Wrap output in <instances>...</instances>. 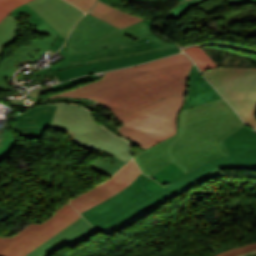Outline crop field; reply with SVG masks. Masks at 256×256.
Here are the masks:
<instances>
[{
  "mask_svg": "<svg viewBox=\"0 0 256 256\" xmlns=\"http://www.w3.org/2000/svg\"><path fill=\"white\" fill-rule=\"evenodd\" d=\"M178 134L134 156L138 166L153 176L172 162L189 172L228 155L222 138L245 125L222 98L181 111Z\"/></svg>",
  "mask_w": 256,
  "mask_h": 256,
  "instance_id": "obj_1",
  "label": "crop field"
},
{
  "mask_svg": "<svg viewBox=\"0 0 256 256\" xmlns=\"http://www.w3.org/2000/svg\"><path fill=\"white\" fill-rule=\"evenodd\" d=\"M192 63L190 58L180 53L138 66L106 72V76L100 81L48 98H91L102 103L118 118L187 88V75Z\"/></svg>",
  "mask_w": 256,
  "mask_h": 256,
  "instance_id": "obj_2",
  "label": "crop field"
},
{
  "mask_svg": "<svg viewBox=\"0 0 256 256\" xmlns=\"http://www.w3.org/2000/svg\"><path fill=\"white\" fill-rule=\"evenodd\" d=\"M149 179L141 173L123 191L81 214L108 236L175 198L164 189L151 195L141 186Z\"/></svg>",
  "mask_w": 256,
  "mask_h": 256,
  "instance_id": "obj_3",
  "label": "crop field"
},
{
  "mask_svg": "<svg viewBox=\"0 0 256 256\" xmlns=\"http://www.w3.org/2000/svg\"><path fill=\"white\" fill-rule=\"evenodd\" d=\"M186 92L187 89L118 118L124 124L118 130L145 148L176 134L178 114Z\"/></svg>",
  "mask_w": 256,
  "mask_h": 256,
  "instance_id": "obj_4",
  "label": "crop field"
},
{
  "mask_svg": "<svg viewBox=\"0 0 256 256\" xmlns=\"http://www.w3.org/2000/svg\"><path fill=\"white\" fill-rule=\"evenodd\" d=\"M51 127L66 132L82 148L102 151L127 162L132 157L127 141L103 129L83 107L58 104Z\"/></svg>",
  "mask_w": 256,
  "mask_h": 256,
  "instance_id": "obj_5",
  "label": "crop field"
},
{
  "mask_svg": "<svg viewBox=\"0 0 256 256\" xmlns=\"http://www.w3.org/2000/svg\"><path fill=\"white\" fill-rule=\"evenodd\" d=\"M222 141L229 156L187 173L164 189L177 197L208 179L220 176L219 169H256V132L245 125Z\"/></svg>",
  "mask_w": 256,
  "mask_h": 256,
  "instance_id": "obj_6",
  "label": "crop field"
},
{
  "mask_svg": "<svg viewBox=\"0 0 256 256\" xmlns=\"http://www.w3.org/2000/svg\"><path fill=\"white\" fill-rule=\"evenodd\" d=\"M203 75L245 122L256 129V69L216 68Z\"/></svg>",
  "mask_w": 256,
  "mask_h": 256,
  "instance_id": "obj_7",
  "label": "crop field"
},
{
  "mask_svg": "<svg viewBox=\"0 0 256 256\" xmlns=\"http://www.w3.org/2000/svg\"><path fill=\"white\" fill-rule=\"evenodd\" d=\"M80 217L66 203L41 225L32 222L12 237H0V256H24Z\"/></svg>",
  "mask_w": 256,
  "mask_h": 256,
  "instance_id": "obj_8",
  "label": "crop field"
},
{
  "mask_svg": "<svg viewBox=\"0 0 256 256\" xmlns=\"http://www.w3.org/2000/svg\"><path fill=\"white\" fill-rule=\"evenodd\" d=\"M16 29L17 19L11 15L0 23V55H3L4 47L13 43L17 36L15 34ZM32 30L36 34L50 35V37L47 40L32 41L28 43V46L17 49L6 60H1L0 74L13 78V73L18 70L17 64L27 59L35 62L47 51L57 36L45 23L34 27Z\"/></svg>",
  "mask_w": 256,
  "mask_h": 256,
  "instance_id": "obj_9",
  "label": "crop field"
},
{
  "mask_svg": "<svg viewBox=\"0 0 256 256\" xmlns=\"http://www.w3.org/2000/svg\"><path fill=\"white\" fill-rule=\"evenodd\" d=\"M140 173L134 161L131 160L108 182L70 200V203L81 213L123 190Z\"/></svg>",
  "mask_w": 256,
  "mask_h": 256,
  "instance_id": "obj_10",
  "label": "crop field"
},
{
  "mask_svg": "<svg viewBox=\"0 0 256 256\" xmlns=\"http://www.w3.org/2000/svg\"><path fill=\"white\" fill-rule=\"evenodd\" d=\"M179 52H181L179 47L164 49V50L144 53L140 55H134V56L123 57V58H118L113 60L96 62L92 64L81 65L74 68H67V69L56 71L55 74L59 79V81L62 82L69 78L122 68V67L134 65L137 63L153 60L156 58L168 56V55L179 53Z\"/></svg>",
  "mask_w": 256,
  "mask_h": 256,
  "instance_id": "obj_11",
  "label": "crop field"
},
{
  "mask_svg": "<svg viewBox=\"0 0 256 256\" xmlns=\"http://www.w3.org/2000/svg\"><path fill=\"white\" fill-rule=\"evenodd\" d=\"M27 4L65 38L83 15L81 10L63 0H33Z\"/></svg>",
  "mask_w": 256,
  "mask_h": 256,
  "instance_id": "obj_12",
  "label": "crop field"
},
{
  "mask_svg": "<svg viewBox=\"0 0 256 256\" xmlns=\"http://www.w3.org/2000/svg\"><path fill=\"white\" fill-rule=\"evenodd\" d=\"M57 104L36 106L30 111L12 114L17 136L42 138L49 128Z\"/></svg>",
  "mask_w": 256,
  "mask_h": 256,
  "instance_id": "obj_13",
  "label": "crop field"
},
{
  "mask_svg": "<svg viewBox=\"0 0 256 256\" xmlns=\"http://www.w3.org/2000/svg\"><path fill=\"white\" fill-rule=\"evenodd\" d=\"M97 232L99 231L95 230L83 218H80L75 223L61 231L44 244L42 243L43 245H39L40 247L25 256H50L63 246L67 245L71 248Z\"/></svg>",
  "mask_w": 256,
  "mask_h": 256,
  "instance_id": "obj_14",
  "label": "crop field"
},
{
  "mask_svg": "<svg viewBox=\"0 0 256 256\" xmlns=\"http://www.w3.org/2000/svg\"><path fill=\"white\" fill-rule=\"evenodd\" d=\"M152 33V20H143L137 24L124 28L94 44L86 46L78 51H76L71 46L66 47L64 46L58 54L62 55L63 57L73 56L77 54H82L98 49H102L105 47L113 46L116 44L135 41L138 40L148 34Z\"/></svg>",
  "mask_w": 256,
  "mask_h": 256,
  "instance_id": "obj_15",
  "label": "crop field"
},
{
  "mask_svg": "<svg viewBox=\"0 0 256 256\" xmlns=\"http://www.w3.org/2000/svg\"><path fill=\"white\" fill-rule=\"evenodd\" d=\"M119 29L91 16L85 15L73 30L68 44L76 50L91 44Z\"/></svg>",
  "mask_w": 256,
  "mask_h": 256,
  "instance_id": "obj_16",
  "label": "crop field"
},
{
  "mask_svg": "<svg viewBox=\"0 0 256 256\" xmlns=\"http://www.w3.org/2000/svg\"><path fill=\"white\" fill-rule=\"evenodd\" d=\"M222 98L218 92L203 78L194 65L188 83V92L181 110Z\"/></svg>",
  "mask_w": 256,
  "mask_h": 256,
  "instance_id": "obj_17",
  "label": "crop field"
},
{
  "mask_svg": "<svg viewBox=\"0 0 256 256\" xmlns=\"http://www.w3.org/2000/svg\"><path fill=\"white\" fill-rule=\"evenodd\" d=\"M146 40L153 41V42H155V43H157V44H159V45H161L165 48L177 46L176 44L167 41L165 39L164 35H158V34H153L152 33L151 35H149V36H147V37H145V38H143L139 41L124 43V44L116 45V46L109 47V48H106V49H103V50H99V51H95V52H91V53H87V54H82V55H77V56L65 58L63 62L55 64L51 68L41 70V71H39L38 73H35V74L37 75V74H41V73L52 72V71H55V70L66 68V67H73V66L81 65V64H84L83 57L108 52V51H111V50H114V49L129 46V45L144 43V42H146Z\"/></svg>",
  "mask_w": 256,
  "mask_h": 256,
  "instance_id": "obj_18",
  "label": "crop field"
},
{
  "mask_svg": "<svg viewBox=\"0 0 256 256\" xmlns=\"http://www.w3.org/2000/svg\"><path fill=\"white\" fill-rule=\"evenodd\" d=\"M88 13L122 29L134 23H137L142 18L133 16L131 14L119 11L111 6H108L100 1L97 2L95 7Z\"/></svg>",
  "mask_w": 256,
  "mask_h": 256,
  "instance_id": "obj_19",
  "label": "crop field"
},
{
  "mask_svg": "<svg viewBox=\"0 0 256 256\" xmlns=\"http://www.w3.org/2000/svg\"><path fill=\"white\" fill-rule=\"evenodd\" d=\"M159 49H164V48L153 43V42H149V43H144V44L121 48V49L114 50V51L100 54V55L86 57V58H84V61L86 64V63H92V62H96V61H102V60H107V59H112V58H118V57L133 55V54H139V53L159 50Z\"/></svg>",
  "mask_w": 256,
  "mask_h": 256,
  "instance_id": "obj_20",
  "label": "crop field"
},
{
  "mask_svg": "<svg viewBox=\"0 0 256 256\" xmlns=\"http://www.w3.org/2000/svg\"><path fill=\"white\" fill-rule=\"evenodd\" d=\"M22 11H27L30 13V21L32 24H34L35 26L45 22L58 36L55 39V41L52 43V45L50 46L49 49L53 50V51H57L65 42V38L63 36H61L55 29H53L46 21H44L35 11H33L27 4L15 9L11 15H13L14 17H16L17 19L21 16V12Z\"/></svg>",
  "mask_w": 256,
  "mask_h": 256,
  "instance_id": "obj_21",
  "label": "crop field"
},
{
  "mask_svg": "<svg viewBox=\"0 0 256 256\" xmlns=\"http://www.w3.org/2000/svg\"><path fill=\"white\" fill-rule=\"evenodd\" d=\"M183 51L194 60L200 71L218 67L200 47H189Z\"/></svg>",
  "mask_w": 256,
  "mask_h": 256,
  "instance_id": "obj_22",
  "label": "crop field"
},
{
  "mask_svg": "<svg viewBox=\"0 0 256 256\" xmlns=\"http://www.w3.org/2000/svg\"><path fill=\"white\" fill-rule=\"evenodd\" d=\"M184 173L181 171L179 168H177L175 165L172 163L165 166L162 170H160L156 175H154L152 178L156 179L158 182L161 184L167 183V182H174L181 176H183ZM155 180V181H156Z\"/></svg>",
  "mask_w": 256,
  "mask_h": 256,
  "instance_id": "obj_23",
  "label": "crop field"
},
{
  "mask_svg": "<svg viewBox=\"0 0 256 256\" xmlns=\"http://www.w3.org/2000/svg\"><path fill=\"white\" fill-rule=\"evenodd\" d=\"M204 1L206 0H190L188 2L184 0L176 8H174L172 11L169 12L167 18L178 20L190 7ZM226 1L229 2L230 4H234V3L246 2L249 0H226Z\"/></svg>",
  "mask_w": 256,
  "mask_h": 256,
  "instance_id": "obj_24",
  "label": "crop field"
},
{
  "mask_svg": "<svg viewBox=\"0 0 256 256\" xmlns=\"http://www.w3.org/2000/svg\"><path fill=\"white\" fill-rule=\"evenodd\" d=\"M125 164H126V162H124L120 159L118 160V162L115 165H112L108 162L97 159L96 161H94L92 163L91 167L94 168L98 172H102L104 174L112 176L115 172H117Z\"/></svg>",
  "mask_w": 256,
  "mask_h": 256,
  "instance_id": "obj_25",
  "label": "crop field"
},
{
  "mask_svg": "<svg viewBox=\"0 0 256 256\" xmlns=\"http://www.w3.org/2000/svg\"><path fill=\"white\" fill-rule=\"evenodd\" d=\"M14 132L7 131L3 140L0 142V160H2L9 151L16 145Z\"/></svg>",
  "mask_w": 256,
  "mask_h": 256,
  "instance_id": "obj_26",
  "label": "crop field"
},
{
  "mask_svg": "<svg viewBox=\"0 0 256 256\" xmlns=\"http://www.w3.org/2000/svg\"><path fill=\"white\" fill-rule=\"evenodd\" d=\"M256 253V242L251 244L242 245L232 250L217 254L215 256H244L246 254Z\"/></svg>",
  "mask_w": 256,
  "mask_h": 256,
  "instance_id": "obj_27",
  "label": "crop field"
},
{
  "mask_svg": "<svg viewBox=\"0 0 256 256\" xmlns=\"http://www.w3.org/2000/svg\"><path fill=\"white\" fill-rule=\"evenodd\" d=\"M69 3L79 7L83 11L87 12L96 0H66Z\"/></svg>",
  "mask_w": 256,
  "mask_h": 256,
  "instance_id": "obj_28",
  "label": "crop field"
},
{
  "mask_svg": "<svg viewBox=\"0 0 256 256\" xmlns=\"http://www.w3.org/2000/svg\"><path fill=\"white\" fill-rule=\"evenodd\" d=\"M95 77H99V76L91 75V76L81 77V78L73 79V80H70V81H66L64 83H60V84L54 85L53 87H54L55 90H57V89L66 87L68 85H71V84H74V83H77V82H80V81H83V80L95 78Z\"/></svg>",
  "mask_w": 256,
  "mask_h": 256,
  "instance_id": "obj_29",
  "label": "crop field"
},
{
  "mask_svg": "<svg viewBox=\"0 0 256 256\" xmlns=\"http://www.w3.org/2000/svg\"><path fill=\"white\" fill-rule=\"evenodd\" d=\"M28 1L30 0H0V3L12 10Z\"/></svg>",
  "mask_w": 256,
  "mask_h": 256,
  "instance_id": "obj_30",
  "label": "crop field"
},
{
  "mask_svg": "<svg viewBox=\"0 0 256 256\" xmlns=\"http://www.w3.org/2000/svg\"><path fill=\"white\" fill-rule=\"evenodd\" d=\"M145 189H147L151 194L156 192L157 190L163 188L158 183L154 182L153 180L147 181L145 184L142 185Z\"/></svg>",
  "mask_w": 256,
  "mask_h": 256,
  "instance_id": "obj_31",
  "label": "crop field"
},
{
  "mask_svg": "<svg viewBox=\"0 0 256 256\" xmlns=\"http://www.w3.org/2000/svg\"><path fill=\"white\" fill-rule=\"evenodd\" d=\"M232 248H234V247H233L231 244H227V245H224V246H221V247H218V248H215V247L212 246V245L209 246V249L214 252L211 256H214V255L217 254V253H220V252H223V251L232 249Z\"/></svg>",
  "mask_w": 256,
  "mask_h": 256,
  "instance_id": "obj_32",
  "label": "crop field"
},
{
  "mask_svg": "<svg viewBox=\"0 0 256 256\" xmlns=\"http://www.w3.org/2000/svg\"><path fill=\"white\" fill-rule=\"evenodd\" d=\"M5 78H6L5 76L0 75V90L16 92L9 85L5 83Z\"/></svg>",
  "mask_w": 256,
  "mask_h": 256,
  "instance_id": "obj_33",
  "label": "crop field"
},
{
  "mask_svg": "<svg viewBox=\"0 0 256 256\" xmlns=\"http://www.w3.org/2000/svg\"><path fill=\"white\" fill-rule=\"evenodd\" d=\"M8 8L0 4V21L10 12Z\"/></svg>",
  "mask_w": 256,
  "mask_h": 256,
  "instance_id": "obj_34",
  "label": "crop field"
},
{
  "mask_svg": "<svg viewBox=\"0 0 256 256\" xmlns=\"http://www.w3.org/2000/svg\"><path fill=\"white\" fill-rule=\"evenodd\" d=\"M36 77H37V79H38L39 81H40V79L43 78V77H45L47 80L56 78L54 72H52V73H47V74H42V75H38V76H36Z\"/></svg>",
  "mask_w": 256,
  "mask_h": 256,
  "instance_id": "obj_35",
  "label": "crop field"
},
{
  "mask_svg": "<svg viewBox=\"0 0 256 256\" xmlns=\"http://www.w3.org/2000/svg\"><path fill=\"white\" fill-rule=\"evenodd\" d=\"M100 1H102V2H105V3L109 4L108 0H100ZM109 5H110V4H109Z\"/></svg>",
  "mask_w": 256,
  "mask_h": 256,
  "instance_id": "obj_36",
  "label": "crop field"
},
{
  "mask_svg": "<svg viewBox=\"0 0 256 256\" xmlns=\"http://www.w3.org/2000/svg\"><path fill=\"white\" fill-rule=\"evenodd\" d=\"M247 256H256V254H253V255H250V254H249V255H247Z\"/></svg>",
  "mask_w": 256,
  "mask_h": 256,
  "instance_id": "obj_37",
  "label": "crop field"
},
{
  "mask_svg": "<svg viewBox=\"0 0 256 256\" xmlns=\"http://www.w3.org/2000/svg\"><path fill=\"white\" fill-rule=\"evenodd\" d=\"M250 1H256V0H250Z\"/></svg>",
  "mask_w": 256,
  "mask_h": 256,
  "instance_id": "obj_38",
  "label": "crop field"
},
{
  "mask_svg": "<svg viewBox=\"0 0 256 256\" xmlns=\"http://www.w3.org/2000/svg\"><path fill=\"white\" fill-rule=\"evenodd\" d=\"M178 1H182V0H178Z\"/></svg>",
  "mask_w": 256,
  "mask_h": 256,
  "instance_id": "obj_39",
  "label": "crop field"
},
{
  "mask_svg": "<svg viewBox=\"0 0 256 256\" xmlns=\"http://www.w3.org/2000/svg\"><path fill=\"white\" fill-rule=\"evenodd\" d=\"M188 1V0H187Z\"/></svg>",
  "mask_w": 256,
  "mask_h": 256,
  "instance_id": "obj_40",
  "label": "crop field"
}]
</instances>
